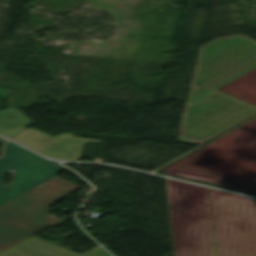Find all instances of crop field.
Returning <instances> with one entry per match:
<instances>
[{
    "mask_svg": "<svg viewBox=\"0 0 256 256\" xmlns=\"http://www.w3.org/2000/svg\"><path fill=\"white\" fill-rule=\"evenodd\" d=\"M256 68V41L244 35L221 37L199 49L178 134L200 143L256 114V106L216 89ZM203 82L195 86L196 82ZM219 96L210 100L213 96Z\"/></svg>",
    "mask_w": 256,
    "mask_h": 256,
    "instance_id": "1",
    "label": "crop field"
},
{
    "mask_svg": "<svg viewBox=\"0 0 256 256\" xmlns=\"http://www.w3.org/2000/svg\"><path fill=\"white\" fill-rule=\"evenodd\" d=\"M79 186L61 178L32 188L0 206V251L60 220L49 214L52 196Z\"/></svg>",
    "mask_w": 256,
    "mask_h": 256,
    "instance_id": "2",
    "label": "crop field"
},
{
    "mask_svg": "<svg viewBox=\"0 0 256 256\" xmlns=\"http://www.w3.org/2000/svg\"><path fill=\"white\" fill-rule=\"evenodd\" d=\"M58 165L18 146L8 142L5 144L3 157L0 158V205L22 192L52 178ZM16 178L11 184L2 186V178L9 169Z\"/></svg>",
    "mask_w": 256,
    "mask_h": 256,
    "instance_id": "3",
    "label": "crop field"
},
{
    "mask_svg": "<svg viewBox=\"0 0 256 256\" xmlns=\"http://www.w3.org/2000/svg\"><path fill=\"white\" fill-rule=\"evenodd\" d=\"M11 139L45 156L60 160H76L81 157L85 142L101 143L102 141L79 138L68 133L50 136L33 128H24Z\"/></svg>",
    "mask_w": 256,
    "mask_h": 256,
    "instance_id": "4",
    "label": "crop field"
},
{
    "mask_svg": "<svg viewBox=\"0 0 256 256\" xmlns=\"http://www.w3.org/2000/svg\"><path fill=\"white\" fill-rule=\"evenodd\" d=\"M0 256H109L99 247L79 255L34 236L0 252Z\"/></svg>",
    "mask_w": 256,
    "mask_h": 256,
    "instance_id": "5",
    "label": "crop field"
},
{
    "mask_svg": "<svg viewBox=\"0 0 256 256\" xmlns=\"http://www.w3.org/2000/svg\"><path fill=\"white\" fill-rule=\"evenodd\" d=\"M11 117L12 119H8ZM31 121L20 111L10 107L0 111V134L11 138L17 132L30 124Z\"/></svg>",
    "mask_w": 256,
    "mask_h": 256,
    "instance_id": "6",
    "label": "crop field"
},
{
    "mask_svg": "<svg viewBox=\"0 0 256 256\" xmlns=\"http://www.w3.org/2000/svg\"><path fill=\"white\" fill-rule=\"evenodd\" d=\"M9 90L0 88V97L6 98Z\"/></svg>",
    "mask_w": 256,
    "mask_h": 256,
    "instance_id": "7",
    "label": "crop field"
},
{
    "mask_svg": "<svg viewBox=\"0 0 256 256\" xmlns=\"http://www.w3.org/2000/svg\"><path fill=\"white\" fill-rule=\"evenodd\" d=\"M5 141H7V140H5V139H3V138L0 137V143H3V142H5Z\"/></svg>",
    "mask_w": 256,
    "mask_h": 256,
    "instance_id": "8",
    "label": "crop field"
}]
</instances>
